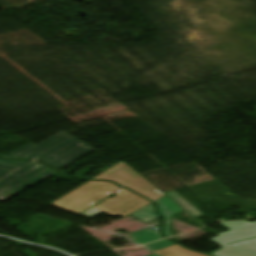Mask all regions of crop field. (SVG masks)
Wrapping results in <instances>:
<instances>
[{
  "instance_id": "obj_1",
  "label": "crop field",
  "mask_w": 256,
  "mask_h": 256,
  "mask_svg": "<svg viewBox=\"0 0 256 256\" xmlns=\"http://www.w3.org/2000/svg\"><path fill=\"white\" fill-rule=\"evenodd\" d=\"M116 194L118 195L103 201L84 213L82 216L91 218L101 212H104L114 217H125L151 204V202L147 201L142 196L125 188H122Z\"/></svg>"
},
{
  "instance_id": "obj_2",
  "label": "crop field",
  "mask_w": 256,
  "mask_h": 256,
  "mask_svg": "<svg viewBox=\"0 0 256 256\" xmlns=\"http://www.w3.org/2000/svg\"><path fill=\"white\" fill-rule=\"evenodd\" d=\"M53 172L55 171L46 165L40 162H34L33 164L0 181V200L35 184L40 179L52 174Z\"/></svg>"
},
{
  "instance_id": "obj_3",
  "label": "crop field",
  "mask_w": 256,
  "mask_h": 256,
  "mask_svg": "<svg viewBox=\"0 0 256 256\" xmlns=\"http://www.w3.org/2000/svg\"><path fill=\"white\" fill-rule=\"evenodd\" d=\"M92 150L94 149L73 137L35 159L59 170Z\"/></svg>"
},
{
  "instance_id": "obj_4",
  "label": "crop field",
  "mask_w": 256,
  "mask_h": 256,
  "mask_svg": "<svg viewBox=\"0 0 256 256\" xmlns=\"http://www.w3.org/2000/svg\"><path fill=\"white\" fill-rule=\"evenodd\" d=\"M71 137H72L71 135L65 132H60L37 145L30 143L4 158L34 159L36 156L44 153L45 151L53 148L54 146L64 142L65 140Z\"/></svg>"
},
{
  "instance_id": "obj_5",
  "label": "crop field",
  "mask_w": 256,
  "mask_h": 256,
  "mask_svg": "<svg viewBox=\"0 0 256 256\" xmlns=\"http://www.w3.org/2000/svg\"><path fill=\"white\" fill-rule=\"evenodd\" d=\"M221 249L213 256H256V238L236 242L228 245L219 237L210 238Z\"/></svg>"
},
{
  "instance_id": "obj_6",
  "label": "crop field",
  "mask_w": 256,
  "mask_h": 256,
  "mask_svg": "<svg viewBox=\"0 0 256 256\" xmlns=\"http://www.w3.org/2000/svg\"><path fill=\"white\" fill-rule=\"evenodd\" d=\"M221 225L230 230L228 232L218 234L219 237L228 244L239 240L256 237V222H228L222 223Z\"/></svg>"
},
{
  "instance_id": "obj_7",
  "label": "crop field",
  "mask_w": 256,
  "mask_h": 256,
  "mask_svg": "<svg viewBox=\"0 0 256 256\" xmlns=\"http://www.w3.org/2000/svg\"><path fill=\"white\" fill-rule=\"evenodd\" d=\"M158 212L165 218V222L163 225V234L166 237L171 236L169 231V223L171 216L184 210L180 206H178L175 202H173L167 196L156 201Z\"/></svg>"
},
{
  "instance_id": "obj_8",
  "label": "crop field",
  "mask_w": 256,
  "mask_h": 256,
  "mask_svg": "<svg viewBox=\"0 0 256 256\" xmlns=\"http://www.w3.org/2000/svg\"><path fill=\"white\" fill-rule=\"evenodd\" d=\"M31 163L33 162L20 160H0V180Z\"/></svg>"
},
{
  "instance_id": "obj_9",
  "label": "crop field",
  "mask_w": 256,
  "mask_h": 256,
  "mask_svg": "<svg viewBox=\"0 0 256 256\" xmlns=\"http://www.w3.org/2000/svg\"><path fill=\"white\" fill-rule=\"evenodd\" d=\"M130 236L133 238V240L136 243L140 245L151 242V241L163 239V237L159 234V230L152 232L149 229L140 231L134 234H130Z\"/></svg>"
},
{
  "instance_id": "obj_10",
  "label": "crop field",
  "mask_w": 256,
  "mask_h": 256,
  "mask_svg": "<svg viewBox=\"0 0 256 256\" xmlns=\"http://www.w3.org/2000/svg\"><path fill=\"white\" fill-rule=\"evenodd\" d=\"M168 197H170L173 201L183 207L186 211H188L195 218L202 217L198 211H196L191 204L185 201L182 197H180L176 192L172 191L169 193H165Z\"/></svg>"
},
{
  "instance_id": "obj_11",
  "label": "crop field",
  "mask_w": 256,
  "mask_h": 256,
  "mask_svg": "<svg viewBox=\"0 0 256 256\" xmlns=\"http://www.w3.org/2000/svg\"><path fill=\"white\" fill-rule=\"evenodd\" d=\"M137 218H139L140 220L144 221V222H149L157 217H159V215H157L154 212V204H151L133 214H131Z\"/></svg>"
},
{
  "instance_id": "obj_12",
  "label": "crop field",
  "mask_w": 256,
  "mask_h": 256,
  "mask_svg": "<svg viewBox=\"0 0 256 256\" xmlns=\"http://www.w3.org/2000/svg\"><path fill=\"white\" fill-rule=\"evenodd\" d=\"M172 245H175V244L168 241V240H165V241H160V242L150 244V245H147V246H144V247H146V248H148L152 251H155V250L162 249V248L172 246Z\"/></svg>"
},
{
  "instance_id": "obj_13",
  "label": "crop field",
  "mask_w": 256,
  "mask_h": 256,
  "mask_svg": "<svg viewBox=\"0 0 256 256\" xmlns=\"http://www.w3.org/2000/svg\"><path fill=\"white\" fill-rule=\"evenodd\" d=\"M151 256H158V255L154 254V255H151Z\"/></svg>"
}]
</instances>
